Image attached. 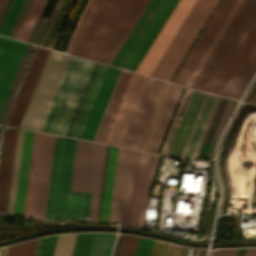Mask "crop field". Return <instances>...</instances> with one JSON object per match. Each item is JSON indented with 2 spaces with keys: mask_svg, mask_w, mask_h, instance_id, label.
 <instances>
[{
  "mask_svg": "<svg viewBox=\"0 0 256 256\" xmlns=\"http://www.w3.org/2000/svg\"><path fill=\"white\" fill-rule=\"evenodd\" d=\"M149 0H105L72 55L110 64Z\"/></svg>",
  "mask_w": 256,
  "mask_h": 256,
  "instance_id": "1",
  "label": "crop field"
},
{
  "mask_svg": "<svg viewBox=\"0 0 256 256\" xmlns=\"http://www.w3.org/2000/svg\"><path fill=\"white\" fill-rule=\"evenodd\" d=\"M75 143L56 136L45 219L87 220L91 193L69 192Z\"/></svg>",
  "mask_w": 256,
  "mask_h": 256,
  "instance_id": "2",
  "label": "crop field"
},
{
  "mask_svg": "<svg viewBox=\"0 0 256 256\" xmlns=\"http://www.w3.org/2000/svg\"><path fill=\"white\" fill-rule=\"evenodd\" d=\"M94 64L69 57L40 131L67 135Z\"/></svg>",
  "mask_w": 256,
  "mask_h": 256,
  "instance_id": "3",
  "label": "crop field"
},
{
  "mask_svg": "<svg viewBox=\"0 0 256 256\" xmlns=\"http://www.w3.org/2000/svg\"><path fill=\"white\" fill-rule=\"evenodd\" d=\"M256 71V13L207 89L239 99Z\"/></svg>",
  "mask_w": 256,
  "mask_h": 256,
  "instance_id": "4",
  "label": "crop field"
},
{
  "mask_svg": "<svg viewBox=\"0 0 256 256\" xmlns=\"http://www.w3.org/2000/svg\"><path fill=\"white\" fill-rule=\"evenodd\" d=\"M146 78L121 71L93 140L120 145Z\"/></svg>",
  "mask_w": 256,
  "mask_h": 256,
  "instance_id": "5",
  "label": "crop field"
},
{
  "mask_svg": "<svg viewBox=\"0 0 256 256\" xmlns=\"http://www.w3.org/2000/svg\"><path fill=\"white\" fill-rule=\"evenodd\" d=\"M219 96L192 90L180 119L168 155L196 158Z\"/></svg>",
  "mask_w": 256,
  "mask_h": 256,
  "instance_id": "6",
  "label": "crop field"
},
{
  "mask_svg": "<svg viewBox=\"0 0 256 256\" xmlns=\"http://www.w3.org/2000/svg\"><path fill=\"white\" fill-rule=\"evenodd\" d=\"M171 1L172 0H162V2H161V0H150L149 1L148 5L144 9L143 13L139 17L138 21L134 25L133 29L131 30V32L129 33L128 37L126 38V40L124 41L123 45L121 46V48L119 49L118 53L116 54V56L114 57L113 61L111 62V65L116 66V67H120L121 66V64L123 63L124 59L128 55L129 51L133 47L134 43L138 39L139 35L143 31L144 27L146 26V24L148 23L149 19L151 18V16L153 15V13L155 12L156 8L158 7V5L161 2L159 7L157 8L156 12L154 13L152 18L150 19L149 23L145 27L144 31L140 35L139 39L135 43L134 47L130 51L129 55L125 59L124 63L122 64L123 67L130 68V66L132 65L133 61L135 60V58L139 54L140 50L144 46L145 42L147 41V39L151 35L152 31L154 30V28L158 24V22L161 19V17L163 16L164 12L166 11L168 6L170 5ZM177 2H178V0H173L172 1L171 5L169 6L167 11L165 12L164 16L160 20L159 24L157 25V27L153 31V33L150 36V38L148 39V41L146 42L145 46L141 50L140 54L138 55V57L134 61V63L131 66V68L130 69L125 68V69L131 70V71H135L136 67L140 63L141 59L145 55L146 51L150 47L151 43L155 39L156 35L160 31L161 27L165 23L166 19L170 15L171 11L173 10V8L175 7ZM123 67H121V68H123Z\"/></svg>",
  "mask_w": 256,
  "mask_h": 256,
  "instance_id": "7",
  "label": "crop field"
},
{
  "mask_svg": "<svg viewBox=\"0 0 256 256\" xmlns=\"http://www.w3.org/2000/svg\"><path fill=\"white\" fill-rule=\"evenodd\" d=\"M106 149L91 142L76 143L70 191L92 192L89 219L93 220L98 217Z\"/></svg>",
  "mask_w": 256,
  "mask_h": 256,
  "instance_id": "8",
  "label": "crop field"
},
{
  "mask_svg": "<svg viewBox=\"0 0 256 256\" xmlns=\"http://www.w3.org/2000/svg\"><path fill=\"white\" fill-rule=\"evenodd\" d=\"M68 57L50 51L19 128L40 130Z\"/></svg>",
  "mask_w": 256,
  "mask_h": 256,
  "instance_id": "9",
  "label": "crop field"
},
{
  "mask_svg": "<svg viewBox=\"0 0 256 256\" xmlns=\"http://www.w3.org/2000/svg\"><path fill=\"white\" fill-rule=\"evenodd\" d=\"M219 0H199L152 77L169 81Z\"/></svg>",
  "mask_w": 256,
  "mask_h": 256,
  "instance_id": "10",
  "label": "crop field"
},
{
  "mask_svg": "<svg viewBox=\"0 0 256 256\" xmlns=\"http://www.w3.org/2000/svg\"><path fill=\"white\" fill-rule=\"evenodd\" d=\"M255 11L256 0H245L243 2L237 14L191 85L192 88L206 91Z\"/></svg>",
  "mask_w": 256,
  "mask_h": 256,
  "instance_id": "11",
  "label": "crop field"
},
{
  "mask_svg": "<svg viewBox=\"0 0 256 256\" xmlns=\"http://www.w3.org/2000/svg\"><path fill=\"white\" fill-rule=\"evenodd\" d=\"M139 156L124 149L114 222L131 224Z\"/></svg>",
  "mask_w": 256,
  "mask_h": 256,
  "instance_id": "12",
  "label": "crop field"
},
{
  "mask_svg": "<svg viewBox=\"0 0 256 256\" xmlns=\"http://www.w3.org/2000/svg\"><path fill=\"white\" fill-rule=\"evenodd\" d=\"M196 0H179L136 72L150 75Z\"/></svg>",
  "mask_w": 256,
  "mask_h": 256,
  "instance_id": "13",
  "label": "crop field"
},
{
  "mask_svg": "<svg viewBox=\"0 0 256 256\" xmlns=\"http://www.w3.org/2000/svg\"><path fill=\"white\" fill-rule=\"evenodd\" d=\"M235 2L236 0H223L221 2L215 14L213 15L205 30L201 34L200 38L198 39L190 54L186 58L185 62L181 66L180 70L176 74L173 82L181 83L184 85L187 78L191 74L192 70L196 66L197 62L208 47L209 43L213 39L214 35L218 31L219 27L223 23L224 19L230 12Z\"/></svg>",
  "mask_w": 256,
  "mask_h": 256,
  "instance_id": "14",
  "label": "crop field"
},
{
  "mask_svg": "<svg viewBox=\"0 0 256 256\" xmlns=\"http://www.w3.org/2000/svg\"><path fill=\"white\" fill-rule=\"evenodd\" d=\"M163 81L147 78L120 146L135 149Z\"/></svg>",
  "mask_w": 256,
  "mask_h": 256,
  "instance_id": "15",
  "label": "crop field"
},
{
  "mask_svg": "<svg viewBox=\"0 0 256 256\" xmlns=\"http://www.w3.org/2000/svg\"><path fill=\"white\" fill-rule=\"evenodd\" d=\"M50 50L38 47L6 125L18 128Z\"/></svg>",
  "mask_w": 256,
  "mask_h": 256,
  "instance_id": "16",
  "label": "crop field"
},
{
  "mask_svg": "<svg viewBox=\"0 0 256 256\" xmlns=\"http://www.w3.org/2000/svg\"><path fill=\"white\" fill-rule=\"evenodd\" d=\"M55 136L43 134L32 217L44 219Z\"/></svg>",
  "mask_w": 256,
  "mask_h": 256,
  "instance_id": "17",
  "label": "crop field"
},
{
  "mask_svg": "<svg viewBox=\"0 0 256 256\" xmlns=\"http://www.w3.org/2000/svg\"><path fill=\"white\" fill-rule=\"evenodd\" d=\"M26 45V43L0 37V110Z\"/></svg>",
  "mask_w": 256,
  "mask_h": 256,
  "instance_id": "18",
  "label": "crop field"
},
{
  "mask_svg": "<svg viewBox=\"0 0 256 256\" xmlns=\"http://www.w3.org/2000/svg\"><path fill=\"white\" fill-rule=\"evenodd\" d=\"M158 156L141 153L133 221L132 224L144 227L148 191L159 161Z\"/></svg>",
  "mask_w": 256,
  "mask_h": 256,
  "instance_id": "19",
  "label": "crop field"
},
{
  "mask_svg": "<svg viewBox=\"0 0 256 256\" xmlns=\"http://www.w3.org/2000/svg\"><path fill=\"white\" fill-rule=\"evenodd\" d=\"M120 71V69L116 70L114 67H108L80 138L89 140L93 139Z\"/></svg>",
  "mask_w": 256,
  "mask_h": 256,
  "instance_id": "20",
  "label": "crop field"
},
{
  "mask_svg": "<svg viewBox=\"0 0 256 256\" xmlns=\"http://www.w3.org/2000/svg\"><path fill=\"white\" fill-rule=\"evenodd\" d=\"M16 129L5 128L0 162V212L6 213L13 156L16 141Z\"/></svg>",
  "mask_w": 256,
  "mask_h": 256,
  "instance_id": "21",
  "label": "crop field"
},
{
  "mask_svg": "<svg viewBox=\"0 0 256 256\" xmlns=\"http://www.w3.org/2000/svg\"><path fill=\"white\" fill-rule=\"evenodd\" d=\"M107 67V65L97 64L68 136L80 137Z\"/></svg>",
  "mask_w": 256,
  "mask_h": 256,
  "instance_id": "22",
  "label": "crop field"
},
{
  "mask_svg": "<svg viewBox=\"0 0 256 256\" xmlns=\"http://www.w3.org/2000/svg\"><path fill=\"white\" fill-rule=\"evenodd\" d=\"M173 85V83L163 82L136 149L148 151Z\"/></svg>",
  "mask_w": 256,
  "mask_h": 256,
  "instance_id": "23",
  "label": "crop field"
},
{
  "mask_svg": "<svg viewBox=\"0 0 256 256\" xmlns=\"http://www.w3.org/2000/svg\"><path fill=\"white\" fill-rule=\"evenodd\" d=\"M183 88H184L183 86L176 85V84L174 85L170 98L168 100V103L166 105V108L164 110L161 121L159 123V126L157 128V131L155 133V136L153 138L152 144L148 152L155 153V154L158 153Z\"/></svg>",
  "mask_w": 256,
  "mask_h": 256,
  "instance_id": "24",
  "label": "crop field"
},
{
  "mask_svg": "<svg viewBox=\"0 0 256 256\" xmlns=\"http://www.w3.org/2000/svg\"><path fill=\"white\" fill-rule=\"evenodd\" d=\"M42 134L34 133L23 215L31 217Z\"/></svg>",
  "mask_w": 256,
  "mask_h": 256,
  "instance_id": "25",
  "label": "crop field"
},
{
  "mask_svg": "<svg viewBox=\"0 0 256 256\" xmlns=\"http://www.w3.org/2000/svg\"><path fill=\"white\" fill-rule=\"evenodd\" d=\"M33 133L25 134L14 214L22 215Z\"/></svg>",
  "mask_w": 256,
  "mask_h": 256,
  "instance_id": "26",
  "label": "crop field"
},
{
  "mask_svg": "<svg viewBox=\"0 0 256 256\" xmlns=\"http://www.w3.org/2000/svg\"><path fill=\"white\" fill-rule=\"evenodd\" d=\"M116 151H117V148L110 146L105 184H104V190H103V197H102V204H101V211H100V218H99V221H103V222H107V219H108Z\"/></svg>",
  "mask_w": 256,
  "mask_h": 256,
  "instance_id": "27",
  "label": "crop field"
},
{
  "mask_svg": "<svg viewBox=\"0 0 256 256\" xmlns=\"http://www.w3.org/2000/svg\"><path fill=\"white\" fill-rule=\"evenodd\" d=\"M244 0H237L236 4L234 5V7L232 8L231 12L229 13V15L227 16V18L225 19L224 23L222 24V26L220 27L219 31L217 32V34L215 35L214 39L212 40V42L210 43L209 47L207 48V50L205 51V53L203 54L202 58L200 59V61L198 62L197 66L195 67V69L193 70L192 74L190 75V77L188 78L187 82L185 83V86L190 87V85L192 84L193 80L195 79V77L197 76L198 72L200 71V69L202 68L203 64L205 63V61L207 60L208 56L210 55V53L212 52V50L214 49L215 45L217 44V42L219 41L220 37L222 36V34L224 33L225 29L227 28V26L229 25L230 21L232 20V18L234 17V15L236 14L237 10L239 9V7L241 6L242 2Z\"/></svg>",
  "mask_w": 256,
  "mask_h": 256,
  "instance_id": "28",
  "label": "crop field"
},
{
  "mask_svg": "<svg viewBox=\"0 0 256 256\" xmlns=\"http://www.w3.org/2000/svg\"><path fill=\"white\" fill-rule=\"evenodd\" d=\"M24 134H25V131L18 130L14 165H13V172H12V180H11V187H10V195H9V202H8V210H7V213H10V214H13V211H14L15 195H16L18 172H19Z\"/></svg>",
  "mask_w": 256,
  "mask_h": 256,
  "instance_id": "29",
  "label": "crop field"
},
{
  "mask_svg": "<svg viewBox=\"0 0 256 256\" xmlns=\"http://www.w3.org/2000/svg\"><path fill=\"white\" fill-rule=\"evenodd\" d=\"M44 2H45V0H33L31 6L29 8V11H28L16 37H15L16 39H20V40H24V41L26 40Z\"/></svg>",
  "mask_w": 256,
  "mask_h": 256,
  "instance_id": "30",
  "label": "crop field"
},
{
  "mask_svg": "<svg viewBox=\"0 0 256 256\" xmlns=\"http://www.w3.org/2000/svg\"><path fill=\"white\" fill-rule=\"evenodd\" d=\"M114 237L113 235L94 234L88 256H109Z\"/></svg>",
  "mask_w": 256,
  "mask_h": 256,
  "instance_id": "31",
  "label": "crop field"
},
{
  "mask_svg": "<svg viewBox=\"0 0 256 256\" xmlns=\"http://www.w3.org/2000/svg\"><path fill=\"white\" fill-rule=\"evenodd\" d=\"M138 238L137 236L121 235L115 256H134Z\"/></svg>",
  "mask_w": 256,
  "mask_h": 256,
  "instance_id": "32",
  "label": "crop field"
},
{
  "mask_svg": "<svg viewBox=\"0 0 256 256\" xmlns=\"http://www.w3.org/2000/svg\"><path fill=\"white\" fill-rule=\"evenodd\" d=\"M182 248V246L167 244L155 240L150 256H180Z\"/></svg>",
  "mask_w": 256,
  "mask_h": 256,
  "instance_id": "33",
  "label": "crop field"
},
{
  "mask_svg": "<svg viewBox=\"0 0 256 256\" xmlns=\"http://www.w3.org/2000/svg\"><path fill=\"white\" fill-rule=\"evenodd\" d=\"M123 149L118 148L108 222H113Z\"/></svg>",
  "mask_w": 256,
  "mask_h": 256,
  "instance_id": "34",
  "label": "crop field"
},
{
  "mask_svg": "<svg viewBox=\"0 0 256 256\" xmlns=\"http://www.w3.org/2000/svg\"><path fill=\"white\" fill-rule=\"evenodd\" d=\"M76 234H63L58 236L53 256H70Z\"/></svg>",
  "mask_w": 256,
  "mask_h": 256,
  "instance_id": "35",
  "label": "crop field"
},
{
  "mask_svg": "<svg viewBox=\"0 0 256 256\" xmlns=\"http://www.w3.org/2000/svg\"><path fill=\"white\" fill-rule=\"evenodd\" d=\"M37 240L38 239L10 246L7 256H33Z\"/></svg>",
  "mask_w": 256,
  "mask_h": 256,
  "instance_id": "36",
  "label": "crop field"
},
{
  "mask_svg": "<svg viewBox=\"0 0 256 256\" xmlns=\"http://www.w3.org/2000/svg\"><path fill=\"white\" fill-rule=\"evenodd\" d=\"M25 0H14L12 6H11V9L0 29V34L1 35H8L23 3H24Z\"/></svg>",
  "mask_w": 256,
  "mask_h": 256,
  "instance_id": "37",
  "label": "crop field"
},
{
  "mask_svg": "<svg viewBox=\"0 0 256 256\" xmlns=\"http://www.w3.org/2000/svg\"><path fill=\"white\" fill-rule=\"evenodd\" d=\"M57 236L39 238L34 256H52Z\"/></svg>",
  "mask_w": 256,
  "mask_h": 256,
  "instance_id": "38",
  "label": "crop field"
},
{
  "mask_svg": "<svg viewBox=\"0 0 256 256\" xmlns=\"http://www.w3.org/2000/svg\"><path fill=\"white\" fill-rule=\"evenodd\" d=\"M92 233H79L75 242L72 256H86Z\"/></svg>",
  "mask_w": 256,
  "mask_h": 256,
  "instance_id": "39",
  "label": "crop field"
},
{
  "mask_svg": "<svg viewBox=\"0 0 256 256\" xmlns=\"http://www.w3.org/2000/svg\"><path fill=\"white\" fill-rule=\"evenodd\" d=\"M153 241L154 240L140 237L135 256H149L153 245Z\"/></svg>",
  "mask_w": 256,
  "mask_h": 256,
  "instance_id": "40",
  "label": "crop field"
},
{
  "mask_svg": "<svg viewBox=\"0 0 256 256\" xmlns=\"http://www.w3.org/2000/svg\"><path fill=\"white\" fill-rule=\"evenodd\" d=\"M191 90H192L191 88H188V87H187V89H186V91H185V94H184V96H183V99H182V101H181V104H180V106H179V109H178V111H177V114H176V116H175V119H174V121H173V123H172V126H171V128H170V131H169V133H168V136H167V138H166V141H165V143H164V146H163L162 151H161L160 154H164V155H165V153H166V151H167V149H168L167 144H168V142H169V140H170L171 134H172L173 129H174V127H175L176 121H177L178 116H179V114H180V111H181V109H182V106H183V103H184V101H185V98H186V96H187L188 94H190Z\"/></svg>",
  "mask_w": 256,
  "mask_h": 256,
  "instance_id": "41",
  "label": "crop field"
},
{
  "mask_svg": "<svg viewBox=\"0 0 256 256\" xmlns=\"http://www.w3.org/2000/svg\"><path fill=\"white\" fill-rule=\"evenodd\" d=\"M93 9H94L93 6L87 5V7H86V9H85V11H84V13H83V15H82V17H81L79 23H78V26H77V28H76V31H75V33H74V35H73V37H72V39H71V41H70V45H71L72 42L74 41L75 37H76L77 34L79 33L80 29L82 28V26H83L84 23L86 22L87 18L89 17V15L91 14V12H92ZM70 45H69V47H70ZM68 49H69V48H68Z\"/></svg>",
  "mask_w": 256,
  "mask_h": 256,
  "instance_id": "42",
  "label": "crop field"
},
{
  "mask_svg": "<svg viewBox=\"0 0 256 256\" xmlns=\"http://www.w3.org/2000/svg\"><path fill=\"white\" fill-rule=\"evenodd\" d=\"M98 7H95V9L93 10L92 14L90 15V17L88 18L87 22L85 23V25L83 26L82 30L80 31V33L78 34V36L76 37L75 41L73 42V44L71 45L70 49L68 50V53L71 54V52L73 51L74 47L76 46V44L78 43L79 39L81 38V36L83 35L84 31L86 30V28L88 27L89 23L91 22V20L93 19V17L95 16L96 12L98 11Z\"/></svg>",
  "mask_w": 256,
  "mask_h": 256,
  "instance_id": "43",
  "label": "crop field"
},
{
  "mask_svg": "<svg viewBox=\"0 0 256 256\" xmlns=\"http://www.w3.org/2000/svg\"><path fill=\"white\" fill-rule=\"evenodd\" d=\"M205 252L202 248L187 247L185 256H205Z\"/></svg>",
  "mask_w": 256,
  "mask_h": 256,
  "instance_id": "44",
  "label": "crop field"
},
{
  "mask_svg": "<svg viewBox=\"0 0 256 256\" xmlns=\"http://www.w3.org/2000/svg\"><path fill=\"white\" fill-rule=\"evenodd\" d=\"M238 249H223L221 256H236Z\"/></svg>",
  "mask_w": 256,
  "mask_h": 256,
  "instance_id": "45",
  "label": "crop field"
},
{
  "mask_svg": "<svg viewBox=\"0 0 256 256\" xmlns=\"http://www.w3.org/2000/svg\"><path fill=\"white\" fill-rule=\"evenodd\" d=\"M240 106V105H239ZM239 106H238V108H239ZM238 108H237V110H238ZM237 110H236V112H237ZM236 112H235V114H236ZM235 114H234V116H235ZM234 116L232 117V119L234 118ZM232 119H231V121H232ZM231 121L229 122V124L231 123ZM229 124H228V126H229ZM227 126V127H228ZM227 127H226V129H227ZM226 129H225V131H226ZM225 131H224V133H225ZM224 133H223V135H224ZM222 138H223V136H222ZM221 141H222V139H221ZM221 141H220V144H221ZM219 147H220V145H219ZM219 150V149H218ZM217 155H218V153H217ZM216 163H217V158H216ZM217 173H218V165H217ZM218 178H219V182H220V187H221V199H222V183H221V181H220V177H219V173H218ZM220 203H221V200H220ZM219 211H220V207H219ZM219 213V212H218Z\"/></svg>",
  "mask_w": 256,
  "mask_h": 256,
  "instance_id": "46",
  "label": "crop field"
},
{
  "mask_svg": "<svg viewBox=\"0 0 256 256\" xmlns=\"http://www.w3.org/2000/svg\"><path fill=\"white\" fill-rule=\"evenodd\" d=\"M0 228L31 230L29 227H20V226H0Z\"/></svg>",
  "mask_w": 256,
  "mask_h": 256,
  "instance_id": "47",
  "label": "crop field"
},
{
  "mask_svg": "<svg viewBox=\"0 0 256 256\" xmlns=\"http://www.w3.org/2000/svg\"><path fill=\"white\" fill-rule=\"evenodd\" d=\"M245 256H256V249H247Z\"/></svg>",
  "mask_w": 256,
  "mask_h": 256,
  "instance_id": "48",
  "label": "crop field"
},
{
  "mask_svg": "<svg viewBox=\"0 0 256 256\" xmlns=\"http://www.w3.org/2000/svg\"><path fill=\"white\" fill-rule=\"evenodd\" d=\"M255 86H256V79H255L254 83L252 84L251 88L249 89L247 95L245 96V98H244V100H243L244 102L246 101V99L248 98V96L251 94V92L253 91V89L255 88Z\"/></svg>",
  "mask_w": 256,
  "mask_h": 256,
  "instance_id": "49",
  "label": "crop field"
},
{
  "mask_svg": "<svg viewBox=\"0 0 256 256\" xmlns=\"http://www.w3.org/2000/svg\"><path fill=\"white\" fill-rule=\"evenodd\" d=\"M221 250L222 249L212 250V251H210L209 256H220Z\"/></svg>",
  "mask_w": 256,
  "mask_h": 256,
  "instance_id": "50",
  "label": "crop field"
},
{
  "mask_svg": "<svg viewBox=\"0 0 256 256\" xmlns=\"http://www.w3.org/2000/svg\"><path fill=\"white\" fill-rule=\"evenodd\" d=\"M245 250L246 249H239L238 253H237V256H244Z\"/></svg>",
  "mask_w": 256,
  "mask_h": 256,
  "instance_id": "51",
  "label": "crop field"
},
{
  "mask_svg": "<svg viewBox=\"0 0 256 256\" xmlns=\"http://www.w3.org/2000/svg\"><path fill=\"white\" fill-rule=\"evenodd\" d=\"M249 102L256 103V92H255L254 95L251 97V99L249 100Z\"/></svg>",
  "mask_w": 256,
  "mask_h": 256,
  "instance_id": "52",
  "label": "crop field"
},
{
  "mask_svg": "<svg viewBox=\"0 0 256 256\" xmlns=\"http://www.w3.org/2000/svg\"><path fill=\"white\" fill-rule=\"evenodd\" d=\"M103 1L104 0H96L95 2H94V5H97V6H101V4L103 3Z\"/></svg>",
  "mask_w": 256,
  "mask_h": 256,
  "instance_id": "53",
  "label": "crop field"
},
{
  "mask_svg": "<svg viewBox=\"0 0 256 256\" xmlns=\"http://www.w3.org/2000/svg\"><path fill=\"white\" fill-rule=\"evenodd\" d=\"M6 0H0V12L5 4Z\"/></svg>",
  "mask_w": 256,
  "mask_h": 256,
  "instance_id": "54",
  "label": "crop field"
},
{
  "mask_svg": "<svg viewBox=\"0 0 256 256\" xmlns=\"http://www.w3.org/2000/svg\"><path fill=\"white\" fill-rule=\"evenodd\" d=\"M185 248H186V247L183 248V252H182V255H181V256H184Z\"/></svg>",
  "mask_w": 256,
  "mask_h": 256,
  "instance_id": "55",
  "label": "crop field"
},
{
  "mask_svg": "<svg viewBox=\"0 0 256 256\" xmlns=\"http://www.w3.org/2000/svg\"><path fill=\"white\" fill-rule=\"evenodd\" d=\"M95 0H90V2L89 3H91V4H93V2H94Z\"/></svg>",
  "mask_w": 256,
  "mask_h": 256,
  "instance_id": "56",
  "label": "crop field"
}]
</instances>
